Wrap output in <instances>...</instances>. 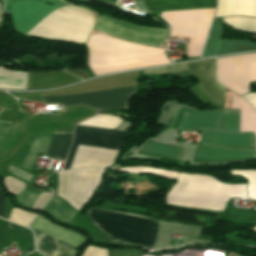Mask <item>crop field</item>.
I'll return each instance as SVG.
<instances>
[{
  "label": "crop field",
  "mask_w": 256,
  "mask_h": 256,
  "mask_svg": "<svg viewBox=\"0 0 256 256\" xmlns=\"http://www.w3.org/2000/svg\"><path fill=\"white\" fill-rule=\"evenodd\" d=\"M4 199H5V193L3 191H0V217L1 218L3 215Z\"/></svg>",
  "instance_id": "33"
},
{
  "label": "crop field",
  "mask_w": 256,
  "mask_h": 256,
  "mask_svg": "<svg viewBox=\"0 0 256 256\" xmlns=\"http://www.w3.org/2000/svg\"><path fill=\"white\" fill-rule=\"evenodd\" d=\"M252 230H255L256 231V226L252 228Z\"/></svg>",
  "instance_id": "34"
},
{
  "label": "crop field",
  "mask_w": 256,
  "mask_h": 256,
  "mask_svg": "<svg viewBox=\"0 0 256 256\" xmlns=\"http://www.w3.org/2000/svg\"><path fill=\"white\" fill-rule=\"evenodd\" d=\"M247 15L256 17V0H218L215 17Z\"/></svg>",
  "instance_id": "14"
},
{
  "label": "crop field",
  "mask_w": 256,
  "mask_h": 256,
  "mask_svg": "<svg viewBox=\"0 0 256 256\" xmlns=\"http://www.w3.org/2000/svg\"><path fill=\"white\" fill-rule=\"evenodd\" d=\"M36 214H32L30 212L24 211L22 209L13 207L11 214L9 216V220L27 226L30 221L34 218Z\"/></svg>",
  "instance_id": "26"
},
{
  "label": "crop field",
  "mask_w": 256,
  "mask_h": 256,
  "mask_svg": "<svg viewBox=\"0 0 256 256\" xmlns=\"http://www.w3.org/2000/svg\"><path fill=\"white\" fill-rule=\"evenodd\" d=\"M13 122L0 120V135L8 136Z\"/></svg>",
  "instance_id": "32"
},
{
  "label": "crop field",
  "mask_w": 256,
  "mask_h": 256,
  "mask_svg": "<svg viewBox=\"0 0 256 256\" xmlns=\"http://www.w3.org/2000/svg\"><path fill=\"white\" fill-rule=\"evenodd\" d=\"M222 28L219 21L213 23V27L207 41L202 58L230 54L242 51L256 50V43L242 40H223L220 39Z\"/></svg>",
  "instance_id": "11"
},
{
  "label": "crop field",
  "mask_w": 256,
  "mask_h": 256,
  "mask_svg": "<svg viewBox=\"0 0 256 256\" xmlns=\"http://www.w3.org/2000/svg\"><path fill=\"white\" fill-rule=\"evenodd\" d=\"M53 193H40L32 209H41L42 206L48 201Z\"/></svg>",
  "instance_id": "31"
},
{
  "label": "crop field",
  "mask_w": 256,
  "mask_h": 256,
  "mask_svg": "<svg viewBox=\"0 0 256 256\" xmlns=\"http://www.w3.org/2000/svg\"><path fill=\"white\" fill-rule=\"evenodd\" d=\"M122 121L123 120L117 117L98 114L93 118H89L87 120H84L78 123V125H89V126L115 129Z\"/></svg>",
  "instance_id": "23"
},
{
  "label": "crop field",
  "mask_w": 256,
  "mask_h": 256,
  "mask_svg": "<svg viewBox=\"0 0 256 256\" xmlns=\"http://www.w3.org/2000/svg\"><path fill=\"white\" fill-rule=\"evenodd\" d=\"M231 175H240L248 180L249 198L256 200V170H231Z\"/></svg>",
  "instance_id": "25"
},
{
  "label": "crop field",
  "mask_w": 256,
  "mask_h": 256,
  "mask_svg": "<svg viewBox=\"0 0 256 256\" xmlns=\"http://www.w3.org/2000/svg\"><path fill=\"white\" fill-rule=\"evenodd\" d=\"M5 181V186L7 188V190H9L11 193H13L14 195L17 194L19 191H21L22 189H24V184L11 178V177H6L4 179Z\"/></svg>",
  "instance_id": "29"
},
{
  "label": "crop field",
  "mask_w": 256,
  "mask_h": 256,
  "mask_svg": "<svg viewBox=\"0 0 256 256\" xmlns=\"http://www.w3.org/2000/svg\"><path fill=\"white\" fill-rule=\"evenodd\" d=\"M134 91L135 87L76 96L44 98V101L47 103H61L64 106L84 104L97 109H125L127 100Z\"/></svg>",
  "instance_id": "8"
},
{
  "label": "crop field",
  "mask_w": 256,
  "mask_h": 256,
  "mask_svg": "<svg viewBox=\"0 0 256 256\" xmlns=\"http://www.w3.org/2000/svg\"><path fill=\"white\" fill-rule=\"evenodd\" d=\"M36 236V247L46 256H73L76 248L65 244L55 238L41 233L31 227Z\"/></svg>",
  "instance_id": "12"
},
{
  "label": "crop field",
  "mask_w": 256,
  "mask_h": 256,
  "mask_svg": "<svg viewBox=\"0 0 256 256\" xmlns=\"http://www.w3.org/2000/svg\"><path fill=\"white\" fill-rule=\"evenodd\" d=\"M54 133L55 132H47V133L38 134L36 136L35 141L33 140L34 143L30 151L28 152L27 156L25 157L21 165L22 167L31 170L39 152L45 153V154L47 153Z\"/></svg>",
  "instance_id": "20"
},
{
  "label": "crop field",
  "mask_w": 256,
  "mask_h": 256,
  "mask_svg": "<svg viewBox=\"0 0 256 256\" xmlns=\"http://www.w3.org/2000/svg\"><path fill=\"white\" fill-rule=\"evenodd\" d=\"M203 143L254 146V136L252 133L232 134L205 130Z\"/></svg>",
  "instance_id": "17"
},
{
  "label": "crop field",
  "mask_w": 256,
  "mask_h": 256,
  "mask_svg": "<svg viewBox=\"0 0 256 256\" xmlns=\"http://www.w3.org/2000/svg\"><path fill=\"white\" fill-rule=\"evenodd\" d=\"M43 210L48 212L54 219L67 224H69V222L77 213L66 202L55 195L45 205Z\"/></svg>",
  "instance_id": "19"
},
{
  "label": "crop field",
  "mask_w": 256,
  "mask_h": 256,
  "mask_svg": "<svg viewBox=\"0 0 256 256\" xmlns=\"http://www.w3.org/2000/svg\"><path fill=\"white\" fill-rule=\"evenodd\" d=\"M72 138L73 132H56L47 155L57 159L65 158Z\"/></svg>",
  "instance_id": "21"
},
{
  "label": "crop field",
  "mask_w": 256,
  "mask_h": 256,
  "mask_svg": "<svg viewBox=\"0 0 256 256\" xmlns=\"http://www.w3.org/2000/svg\"><path fill=\"white\" fill-rule=\"evenodd\" d=\"M196 157L209 160H233L243 158H256V153L254 151L227 150L200 144Z\"/></svg>",
  "instance_id": "15"
},
{
  "label": "crop field",
  "mask_w": 256,
  "mask_h": 256,
  "mask_svg": "<svg viewBox=\"0 0 256 256\" xmlns=\"http://www.w3.org/2000/svg\"><path fill=\"white\" fill-rule=\"evenodd\" d=\"M167 204L223 211L230 197L247 198L246 185H226L207 175L180 173L169 191Z\"/></svg>",
  "instance_id": "2"
},
{
  "label": "crop field",
  "mask_w": 256,
  "mask_h": 256,
  "mask_svg": "<svg viewBox=\"0 0 256 256\" xmlns=\"http://www.w3.org/2000/svg\"><path fill=\"white\" fill-rule=\"evenodd\" d=\"M215 9L156 13L169 24V36L190 37L188 56H200Z\"/></svg>",
  "instance_id": "4"
},
{
  "label": "crop field",
  "mask_w": 256,
  "mask_h": 256,
  "mask_svg": "<svg viewBox=\"0 0 256 256\" xmlns=\"http://www.w3.org/2000/svg\"><path fill=\"white\" fill-rule=\"evenodd\" d=\"M215 60L199 61L189 63V74L199 79L197 86L216 104L220 105L223 95L224 87L215 80ZM217 105V106H218Z\"/></svg>",
  "instance_id": "10"
},
{
  "label": "crop field",
  "mask_w": 256,
  "mask_h": 256,
  "mask_svg": "<svg viewBox=\"0 0 256 256\" xmlns=\"http://www.w3.org/2000/svg\"><path fill=\"white\" fill-rule=\"evenodd\" d=\"M103 170L75 169L61 172L57 195L79 211L98 186Z\"/></svg>",
  "instance_id": "6"
},
{
  "label": "crop field",
  "mask_w": 256,
  "mask_h": 256,
  "mask_svg": "<svg viewBox=\"0 0 256 256\" xmlns=\"http://www.w3.org/2000/svg\"><path fill=\"white\" fill-rule=\"evenodd\" d=\"M223 131L239 132V110H226L222 124Z\"/></svg>",
  "instance_id": "24"
},
{
  "label": "crop field",
  "mask_w": 256,
  "mask_h": 256,
  "mask_svg": "<svg viewBox=\"0 0 256 256\" xmlns=\"http://www.w3.org/2000/svg\"><path fill=\"white\" fill-rule=\"evenodd\" d=\"M126 132L112 131L103 128L76 126L74 129V142L63 168L69 169L78 144L119 150ZM123 145V144H122Z\"/></svg>",
  "instance_id": "9"
},
{
  "label": "crop field",
  "mask_w": 256,
  "mask_h": 256,
  "mask_svg": "<svg viewBox=\"0 0 256 256\" xmlns=\"http://www.w3.org/2000/svg\"><path fill=\"white\" fill-rule=\"evenodd\" d=\"M89 219L96 228L113 241L151 248L157 232V222L144 216L90 209Z\"/></svg>",
  "instance_id": "3"
},
{
  "label": "crop field",
  "mask_w": 256,
  "mask_h": 256,
  "mask_svg": "<svg viewBox=\"0 0 256 256\" xmlns=\"http://www.w3.org/2000/svg\"><path fill=\"white\" fill-rule=\"evenodd\" d=\"M146 11L216 6V0H143Z\"/></svg>",
  "instance_id": "13"
},
{
  "label": "crop field",
  "mask_w": 256,
  "mask_h": 256,
  "mask_svg": "<svg viewBox=\"0 0 256 256\" xmlns=\"http://www.w3.org/2000/svg\"><path fill=\"white\" fill-rule=\"evenodd\" d=\"M95 30L147 45L160 46L165 39V29L136 26L103 15L98 21Z\"/></svg>",
  "instance_id": "7"
},
{
  "label": "crop field",
  "mask_w": 256,
  "mask_h": 256,
  "mask_svg": "<svg viewBox=\"0 0 256 256\" xmlns=\"http://www.w3.org/2000/svg\"><path fill=\"white\" fill-rule=\"evenodd\" d=\"M231 108L240 109V131H252L256 136V110L234 93Z\"/></svg>",
  "instance_id": "18"
},
{
  "label": "crop field",
  "mask_w": 256,
  "mask_h": 256,
  "mask_svg": "<svg viewBox=\"0 0 256 256\" xmlns=\"http://www.w3.org/2000/svg\"><path fill=\"white\" fill-rule=\"evenodd\" d=\"M220 113L214 112H188L178 129H197V128H212L217 129Z\"/></svg>",
  "instance_id": "16"
},
{
  "label": "crop field",
  "mask_w": 256,
  "mask_h": 256,
  "mask_svg": "<svg viewBox=\"0 0 256 256\" xmlns=\"http://www.w3.org/2000/svg\"><path fill=\"white\" fill-rule=\"evenodd\" d=\"M39 192L22 190L20 193L15 195L16 202L24 207L31 209L34 201L36 200Z\"/></svg>",
  "instance_id": "27"
},
{
  "label": "crop field",
  "mask_w": 256,
  "mask_h": 256,
  "mask_svg": "<svg viewBox=\"0 0 256 256\" xmlns=\"http://www.w3.org/2000/svg\"><path fill=\"white\" fill-rule=\"evenodd\" d=\"M187 70V63L144 70L143 73H171Z\"/></svg>",
  "instance_id": "28"
},
{
  "label": "crop field",
  "mask_w": 256,
  "mask_h": 256,
  "mask_svg": "<svg viewBox=\"0 0 256 256\" xmlns=\"http://www.w3.org/2000/svg\"><path fill=\"white\" fill-rule=\"evenodd\" d=\"M217 79L240 95L247 93L249 82L256 81V54L217 59Z\"/></svg>",
  "instance_id": "5"
},
{
  "label": "crop field",
  "mask_w": 256,
  "mask_h": 256,
  "mask_svg": "<svg viewBox=\"0 0 256 256\" xmlns=\"http://www.w3.org/2000/svg\"><path fill=\"white\" fill-rule=\"evenodd\" d=\"M90 50V58L97 59L151 49L154 47L140 46L126 41L118 40L106 35L89 36L86 44ZM171 63L164 55V49L98 59L89 61V67L97 75H104L123 70L135 69L145 66Z\"/></svg>",
  "instance_id": "1"
},
{
  "label": "crop field",
  "mask_w": 256,
  "mask_h": 256,
  "mask_svg": "<svg viewBox=\"0 0 256 256\" xmlns=\"http://www.w3.org/2000/svg\"><path fill=\"white\" fill-rule=\"evenodd\" d=\"M82 256H107V249H100L87 245Z\"/></svg>",
  "instance_id": "30"
},
{
  "label": "crop field",
  "mask_w": 256,
  "mask_h": 256,
  "mask_svg": "<svg viewBox=\"0 0 256 256\" xmlns=\"http://www.w3.org/2000/svg\"><path fill=\"white\" fill-rule=\"evenodd\" d=\"M142 151L180 159L182 156L183 148L159 144L151 141L150 143H147V145L143 147Z\"/></svg>",
  "instance_id": "22"
}]
</instances>
